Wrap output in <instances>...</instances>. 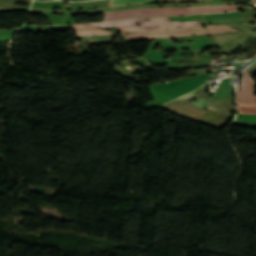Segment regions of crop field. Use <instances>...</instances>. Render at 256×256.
Listing matches in <instances>:
<instances>
[{
	"mask_svg": "<svg viewBox=\"0 0 256 256\" xmlns=\"http://www.w3.org/2000/svg\"><path fill=\"white\" fill-rule=\"evenodd\" d=\"M198 24L197 21L186 22V23H176V24H151V25H138V26H127V27H119L118 30L121 32H137V31H145V30H156V29H178L185 27H192Z\"/></svg>",
	"mask_w": 256,
	"mask_h": 256,
	"instance_id": "4",
	"label": "crop field"
},
{
	"mask_svg": "<svg viewBox=\"0 0 256 256\" xmlns=\"http://www.w3.org/2000/svg\"><path fill=\"white\" fill-rule=\"evenodd\" d=\"M78 36L83 35H109L112 34L110 31L101 30V29H93V30H82V31H76Z\"/></svg>",
	"mask_w": 256,
	"mask_h": 256,
	"instance_id": "8",
	"label": "crop field"
},
{
	"mask_svg": "<svg viewBox=\"0 0 256 256\" xmlns=\"http://www.w3.org/2000/svg\"><path fill=\"white\" fill-rule=\"evenodd\" d=\"M163 1H199V0H163ZM132 3H163V2L162 0H110V6L126 5V4H132Z\"/></svg>",
	"mask_w": 256,
	"mask_h": 256,
	"instance_id": "7",
	"label": "crop field"
},
{
	"mask_svg": "<svg viewBox=\"0 0 256 256\" xmlns=\"http://www.w3.org/2000/svg\"><path fill=\"white\" fill-rule=\"evenodd\" d=\"M159 42H160V39L154 40L151 48L148 50V52L144 56V58H146L147 60H149L150 62H152L155 65L168 63V68H175L174 63L172 62V60H168V59L163 58L164 53L161 50V43H160V50L153 51V48H154L155 44H157Z\"/></svg>",
	"mask_w": 256,
	"mask_h": 256,
	"instance_id": "6",
	"label": "crop field"
},
{
	"mask_svg": "<svg viewBox=\"0 0 256 256\" xmlns=\"http://www.w3.org/2000/svg\"><path fill=\"white\" fill-rule=\"evenodd\" d=\"M208 109H212V110H218V106L215 104H211L209 103V105L207 106Z\"/></svg>",
	"mask_w": 256,
	"mask_h": 256,
	"instance_id": "14",
	"label": "crop field"
},
{
	"mask_svg": "<svg viewBox=\"0 0 256 256\" xmlns=\"http://www.w3.org/2000/svg\"><path fill=\"white\" fill-rule=\"evenodd\" d=\"M144 19L145 18L110 21V22H96V23H89V24H73V26L75 27V30H81V29L103 28V27H112V26L137 25Z\"/></svg>",
	"mask_w": 256,
	"mask_h": 256,
	"instance_id": "5",
	"label": "crop field"
},
{
	"mask_svg": "<svg viewBox=\"0 0 256 256\" xmlns=\"http://www.w3.org/2000/svg\"><path fill=\"white\" fill-rule=\"evenodd\" d=\"M206 28H208L209 30H206ZM206 28L203 29L202 26H197L193 28L178 29V30H159V31H153V32L121 34V35L124 41H131V40H143V39H151V38H168V37H180V36H190V35H202V34H210V33H218V32L239 31V30L231 29L228 26H206Z\"/></svg>",
	"mask_w": 256,
	"mask_h": 256,
	"instance_id": "2",
	"label": "crop field"
},
{
	"mask_svg": "<svg viewBox=\"0 0 256 256\" xmlns=\"http://www.w3.org/2000/svg\"><path fill=\"white\" fill-rule=\"evenodd\" d=\"M180 21L171 22L169 17H156V18H148L142 22V24H151V23H176Z\"/></svg>",
	"mask_w": 256,
	"mask_h": 256,
	"instance_id": "9",
	"label": "crop field"
},
{
	"mask_svg": "<svg viewBox=\"0 0 256 256\" xmlns=\"http://www.w3.org/2000/svg\"><path fill=\"white\" fill-rule=\"evenodd\" d=\"M255 83L249 76L247 70L242 74L240 82V91L237 95V101L251 104ZM239 112L243 114H256V96L253 98L252 105L237 103Z\"/></svg>",
	"mask_w": 256,
	"mask_h": 256,
	"instance_id": "3",
	"label": "crop field"
},
{
	"mask_svg": "<svg viewBox=\"0 0 256 256\" xmlns=\"http://www.w3.org/2000/svg\"><path fill=\"white\" fill-rule=\"evenodd\" d=\"M195 95H196L195 92H193V93L187 94V95H185V96H183V97H180V98H178V99H179V100H183V99H187V98L193 97V96H195Z\"/></svg>",
	"mask_w": 256,
	"mask_h": 256,
	"instance_id": "13",
	"label": "crop field"
},
{
	"mask_svg": "<svg viewBox=\"0 0 256 256\" xmlns=\"http://www.w3.org/2000/svg\"><path fill=\"white\" fill-rule=\"evenodd\" d=\"M207 35L203 36H191V37H180V38H174V39H195V38H205Z\"/></svg>",
	"mask_w": 256,
	"mask_h": 256,
	"instance_id": "12",
	"label": "crop field"
},
{
	"mask_svg": "<svg viewBox=\"0 0 256 256\" xmlns=\"http://www.w3.org/2000/svg\"><path fill=\"white\" fill-rule=\"evenodd\" d=\"M188 53H192V51H178V56H175V57H172V58H173V60L181 59L182 54H188Z\"/></svg>",
	"mask_w": 256,
	"mask_h": 256,
	"instance_id": "10",
	"label": "crop field"
},
{
	"mask_svg": "<svg viewBox=\"0 0 256 256\" xmlns=\"http://www.w3.org/2000/svg\"><path fill=\"white\" fill-rule=\"evenodd\" d=\"M238 5L198 6V7H175V8H143L103 13L105 20L123 19L133 17H156L185 15L191 13H215L234 11Z\"/></svg>",
	"mask_w": 256,
	"mask_h": 256,
	"instance_id": "1",
	"label": "crop field"
},
{
	"mask_svg": "<svg viewBox=\"0 0 256 256\" xmlns=\"http://www.w3.org/2000/svg\"><path fill=\"white\" fill-rule=\"evenodd\" d=\"M193 104H196L199 107L205 108L207 106L208 102L197 100V101L193 102Z\"/></svg>",
	"mask_w": 256,
	"mask_h": 256,
	"instance_id": "11",
	"label": "crop field"
}]
</instances>
